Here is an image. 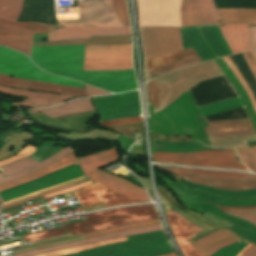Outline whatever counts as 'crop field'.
Returning a JSON list of instances; mask_svg holds the SVG:
<instances>
[{
	"instance_id": "obj_47",
	"label": "crop field",
	"mask_w": 256,
	"mask_h": 256,
	"mask_svg": "<svg viewBox=\"0 0 256 256\" xmlns=\"http://www.w3.org/2000/svg\"><path fill=\"white\" fill-rule=\"evenodd\" d=\"M88 181H91V180H90L89 178H87V179H83V180H80V181H76V182L70 183V184H68V185H65V186H62V187H59V188H56V189H53V190H50V191H47V192H43V193L40 194V195H37V196L31 197V198H28V199H25V200H22V201H19V202H15V203H12V204L3 206V207H1V209H2V208H5V207H8V206H11V205H14V204H17V203H21V202H24V201H27V200H30V199L39 197V196H41V195L45 196V195H48V194L57 192V191H59V190H62V189H65V188H68V187H71V186H75V185H78V184H81V183H84V182H88Z\"/></svg>"
},
{
	"instance_id": "obj_3",
	"label": "crop field",
	"mask_w": 256,
	"mask_h": 256,
	"mask_svg": "<svg viewBox=\"0 0 256 256\" xmlns=\"http://www.w3.org/2000/svg\"><path fill=\"white\" fill-rule=\"evenodd\" d=\"M183 135H187L199 142V129L195 116L199 111L189 92L183 93L175 101ZM174 102L165 110L155 113L148 118L150 133L167 136L182 135Z\"/></svg>"
},
{
	"instance_id": "obj_11",
	"label": "crop field",
	"mask_w": 256,
	"mask_h": 256,
	"mask_svg": "<svg viewBox=\"0 0 256 256\" xmlns=\"http://www.w3.org/2000/svg\"><path fill=\"white\" fill-rule=\"evenodd\" d=\"M140 25L182 26L181 0H137Z\"/></svg>"
},
{
	"instance_id": "obj_25",
	"label": "crop field",
	"mask_w": 256,
	"mask_h": 256,
	"mask_svg": "<svg viewBox=\"0 0 256 256\" xmlns=\"http://www.w3.org/2000/svg\"><path fill=\"white\" fill-rule=\"evenodd\" d=\"M168 222L173 234L185 256H203L198 252L187 239L195 236L185 224L178 220L172 213L167 212Z\"/></svg>"
},
{
	"instance_id": "obj_15",
	"label": "crop field",
	"mask_w": 256,
	"mask_h": 256,
	"mask_svg": "<svg viewBox=\"0 0 256 256\" xmlns=\"http://www.w3.org/2000/svg\"><path fill=\"white\" fill-rule=\"evenodd\" d=\"M84 176L79 164L69 166L57 172L44 176L42 178L21 184L12 189L0 193L4 201L38 191L47 187H51L78 177Z\"/></svg>"
},
{
	"instance_id": "obj_20",
	"label": "crop field",
	"mask_w": 256,
	"mask_h": 256,
	"mask_svg": "<svg viewBox=\"0 0 256 256\" xmlns=\"http://www.w3.org/2000/svg\"><path fill=\"white\" fill-rule=\"evenodd\" d=\"M0 84L4 86L20 88V89L47 91V92H54V93L74 95V96H88L86 90H83V89L7 77L3 75H0Z\"/></svg>"
},
{
	"instance_id": "obj_17",
	"label": "crop field",
	"mask_w": 256,
	"mask_h": 256,
	"mask_svg": "<svg viewBox=\"0 0 256 256\" xmlns=\"http://www.w3.org/2000/svg\"><path fill=\"white\" fill-rule=\"evenodd\" d=\"M244 239L233 234L232 232L222 229L219 231L212 232L205 237L193 242L189 240L195 248H197L205 256L212 255L219 248L238 242ZM237 256H256V245L250 243L244 248Z\"/></svg>"
},
{
	"instance_id": "obj_1",
	"label": "crop field",
	"mask_w": 256,
	"mask_h": 256,
	"mask_svg": "<svg viewBox=\"0 0 256 256\" xmlns=\"http://www.w3.org/2000/svg\"><path fill=\"white\" fill-rule=\"evenodd\" d=\"M84 45L33 47L32 61L57 75L71 77L114 93L137 89L134 71L82 72Z\"/></svg>"
},
{
	"instance_id": "obj_19",
	"label": "crop field",
	"mask_w": 256,
	"mask_h": 256,
	"mask_svg": "<svg viewBox=\"0 0 256 256\" xmlns=\"http://www.w3.org/2000/svg\"><path fill=\"white\" fill-rule=\"evenodd\" d=\"M73 152L74 151H72L70 148L67 147L41 163L31 160L29 158H26V159L17 161L13 164L4 166V167H2V170L4 172L0 173V184H3L5 182L11 181L13 179L19 178L24 175L30 174V173L34 172L35 170H37L55 160L63 158L66 155L71 154ZM3 177H6V178H3Z\"/></svg>"
},
{
	"instance_id": "obj_32",
	"label": "crop field",
	"mask_w": 256,
	"mask_h": 256,
	"mask_svg": "<svg viewBox=\"0 0 256 256\" xmlns=\"http://www.w3.org/2000/svg\"><path fill=\"white\" fill-rule=\"evenodd\" d=\"M210 127H204L207 134L239 131L253 128L250 119L208 122Z\"/></svg>"
},
{
	"instance_id": "obj_58",
	"label": "crop field",
	"mask_w": 256,
	"mask_h": 256,
	"mask_svg": "<svg viewBox=\"0 0 256 256\" xmlns=\"http://www.w3.org/2000/svg\"><path fill=\"white\" fill-rule=\"evenodd\" d=\"M147 90H148L149 102L154 105V97H153V91H152V84H151V82L148 84Z\"/></svg>"
},
{
	"instance_id": "obj_51",
	"label": "crop field",
	"mask_w": 256,
	"mask_h": 256,
	"mask_svg": "<svg viewBox=\"0 0 256 256\" xmlns=\"http://www.w3.org/2000/svg\"><path fill=\"white\" fill-rule=\"evenodd\" d=\"M233 216L243 218L256 224V212H238V213H227Z\"/></svg>"
},
{
	"instance_id": "obj_4",
	"label": "crop field",
	"mask_w": 256,
	"mask_h": 256,
	"mask_svg": "<svg viewBox=\"0 0 256 256\" xmlns=\"http://www.w3.org/2000/svg\"><path fill=\"white\" fill-rule=\"evenodd\" d=\"M128 239L66 256H158L174 252L162 230L129 236Z\"/></svg>"
},
{
	"instance_id": "obj_62",
	"label": "crop field",
	"mask_w": 256,
	"mask_h": 256,
	"mask_svg": "<svg viewBox=\"0 0 256 256\" xmlns=\"http://www.w3.org/2000/svg\"><path fill=\"white\" fill-rule=\"evenodd\" d=\"M1 201V200H0Z\"/></svg>"
},
{
	"instance_id": "obj_21",
	"label": "crop field",
	"mask_w": 256,
	"mask_h": 256,
	"mask_svg": "<svg viewBox=\"0 0 256 256\" xmlns=\"http://www.w3.org/2000/svg\"><path fill=\"white\" fill-rule=\"evenodd\" d=\"M0 93H6L12 96L25 98L22 103H12V104L15 106L28 107V108L56 105L63 101L71 100L74 98V97L53 95V94H47V93H41V92H35V91L5 88L1 86H0ZM26 98L30 100H27Z\"/></svg>"
},
{
	"instance_id": "obj_28",
	"label": "crop field",
	"mask_w": 256,
	"mask_h": 256,
	"mask_svg": "<svg viewBox=\"0 0 256 256\" xmlns=\"http://www.w3.org/2000/svg\"><path fill=\"white\" fill-rule=\"evenodd\" d=\"M73 163H77V158H76L75 154H71V155L65 157L64 159L53 162V163L45 166L44 168L36 171L33 174H30V175H27L25 177H22V178L14 180V181L8 182L6 184L0 185V191L8 189V188L13 187V186H16L18 184L27 182L29 180L35 179L37 177L43 176L45 174L51 173L53 171L59 170L61 168L69 166Z\"/></svg>"
},
{
	"instance_id": "obj_37",
	"label": "crop field",
	"mask_w": 256,
	"mask_h": 256,
	"mask_svg": "<svg viewBox=\"0 0 256 256\" xmlns=\"http://www.w3.org/2000/svg\"><path fill=\"white\" fill-rule=\"evenodd\" d=\"M157 224H160L158 219L145 221V222H139V223H133V224H129V225L121 226V227L110 228V229L97 231V232H93V233H88V234H82L81 236L90 238V237H96V236L111 234V233H115V232L130 230V229H134V228H139V227L157 225Z\"/></svg>"
},
{
	"instance_id": "obj_55",
	"label": "crop field",
	"mask_w": 256,
	"mask_h": 256,
	"mask_svg": "<svg viewBox=\"0 0 256 256\" xmlns=\"http://www.w3.org/2000/svg\"><path fill=\"white\" fill-rule=\"evenodd\" d=\"M86 88H87V91H88V94H89L90 97L111 94V93H107V92L101 91L99 89L93 88V87L88 86V85H86Z\"/></svg>"
},
{
	"instance_id": "obj_8",
	"label": "crop field",
	"mask_w": 256,
	"mask_h": 256,
	"mask_svg": "<svg viewBox=\"0 0 256 256\" xmlns=\"http://www.w3.org/2000/svg\"><path fill=\"white\" fill-rule=\"evenodd\" d=\"M131 57V45H86L84 58H126ZM133 68L131 58L127 59H84L83 70H124Z\"/></svg>"
},
{
	"instance_id": "obj_10",
	"label": "crop field",
	"mask_w": 256,
	"mask_h": 256,
	"mask_svg": "<svg viewBox=\"0 0 256 256\" xmlns=\"http://www.w3.org/2000/svg\"><path fill=\"white\" fill-rule=\"evenodd\" d=\"M153 158L230 165V166H242L239 162L236 161L235 155L231 151H202V152L191 153V154L154 153ZM157 159H153V161L159 162V163H167V164L190 165V166L221 168V169H231V170H247L244 167H230V166L177 162V161H167V160H157Z\"/></svg>"
},
{
	"instance_id": "obj_42",
	"label": "crop field",
	"mask_w": 256,
	"mask_h": 256,
	"mask_svg": "<svg viewBox=\"0 0 256 256\" xmlns=\"http://www.w3.org/2000/svg\"><path fill=\"white\" fill-rule=\"evenodd\" d=\"M66 233H69V232H68V230H66L64 228H52L49 230L24 235V238H25L26 242H29V241L48 238V237H52V236L62 235V234H66Z\"/></svg>"
},
{
	"instance_id": "obj_26",
	"label": "crop field",
	"mask_w": 256,
	"mask_h": 256,
	"mask_svg": "<svg viewBox=\"0 0 256 256\" xmlns=\"http://www.w3.org/2000/svg\"><path fill=\"white\" fill-rule=\"evenodd\" d=\"M93 106L91 104L90 98L85 99H78L74 101H70L56 107L48 108V109H41V110H33L29 111L30 114L42 112L45 113L53 118L70 115V114H77L87 111H92Z\"/></svg>"
},
{
	"instance_id": "obj_59",
	"label": "crop field",
	"mask_w": 256,
	"mask_h": 256,
	"mask_svg": "<svg viewBox=\"0 0 256 256\" xmlns=\"http://www.w3.org/2000/svg\"><path fill=\"white\" fill-rule=\"evenodd\" d=\"M163 256H176L175 253L168 254V255H163Z\"/></svg>"
},
{
	"instance_id": "obj_7",
	"label": "crop field",
	"mask_w": 256,
	"mask_h": 256,
	"mask_svg": "<svg viewBox=\"0 0 256 256\" xmlns=\"http://www.w3.org/2000/svg\"><path fill=\"white\" fill-rule=\"evenodd\" d=\"M0 73L13 77L85 88L82 83L47 74L35 67L23 54L2 47H0Z\"/></svg>"
},
{
	"instance_id": "obj_44",
	"label": "crop field",
	"mask_w": 256,
	"mask_h": 256,
	"mask_svg": "<svg viewBox=\"0 0 256 256\" xmlns=\"http://www.w3.org/2000/svg\"><path fill=\"white\" fill-rule=\"evenodd\" d=\"M248 243L246 242H238L224 248L219 249L212 256H236Z\"/></svg>"
},
{
	"instance_id": "obj_36",
	"label": "crop field",
	"mask_w": 256,
	"mask_h": 256,
	"mask_svg": "<svg viewBox=\"0 0 256 256\" xmlns=\"http://www.w3.org/2000/svg\"><path fill=\"white\" fill-rule=\"evenodd\" d=\"M23 0H0V17L16 22Z\"/></svg>"
},
{
	"instance_id": "obj_48",
	"label": "crop field",
	"mask_w": 256,
	"mask_h": 256,
	"mask_svg": "<svg viewBox=\"0 0 256 256\" xmlns=\"http://www.w3.org/2000/svg\"><path fill=\"white\" fill-rule=\"evenodd\" d=\"M242 54L256 79V50L251 52H245Z\"/></svg>"
},
{
	"instance_id": "obj_27",
	"label": "crop field",
	"mask_w": 256,
	"mask_h": 256,
	"mask_svg": "<svg viewBox=\"0 0 256 256\" xmlns=\"http://www.w3.org/2000/svg\"><path fill=\"white\" fill-rule=\"evenodd\" d=\"M73 44H131V35L92 36V39H72L49 43H34L37 46L73 45Z\"/></svg>"
},
{
	"instance_id": "obj_22",
	"label": "crop field",
	"mask_w": 256,
	"mask_h": 256,
	"mask_svg": "<svg viewBox=\"0 0 256 256\" xmlns=\"http://www.w3.org/2000/svg\"><path fill=\"white\" fill-rule=\"evenodd\" d=\"M220 31L233 54L252 49L247 23L223 26Z\"/></svg>"
},
{
	"instance_id": "obj_46",
	"label": "crop field",
	"mask_w": 256,
	"mask_h": 256,
	"mask_svg": "<svg viewBox=\"0 0 256 256\" xmlns=\"http://www.w3.org/2000/svg\"><path fill=\"white\" fill-rule=\"evenodd\" d=\"M35 149H36V147L28 145L23 151H21L20 153H18L14 157L1 161L0 162V167L4 166L6 164H9V163H11V162H13L17 159H21V158H25V157L30 156L31 154H33L35 152Z\"/></svg>"
},
{
	"instance_id": "obj_23",
	"label": "crop field",
	"mask_w": 256,
	"mask_h": 256,
	"mask_svg": "<svg viewBox=\"0 0 256 256\" xmlns=\"http://www.w3.org/2000/svg\"><path fill=\"white\" fill-rule=\"evenodd\" d=\"M183 48H192L202 61L216 58V54L204 40L198 27L180 28Z\"/></svg>"
},
{
	"instance_id": "obj_61",
	"label": "crop field",
	"mask_w": 256,
	"mask_h": 256,
	"mask_svg": "<svg viewBox=\"0 0 256 256\" xmlns=\"http://www.w3.org/2000/svg\"><path fill=\"white\" fill-rule=\"evenodd\" d=\"M255 148H256V146H255Z\"/></svg>"
},
{
	"instance_id": "obj_50",
	"label": "crop field",
	"mask_w": 256,
	"mask_h": 256,
	"mask_svg": "<svg viewBox=\"0 0 256 256\" xmlns=\"http://www.w3.org/2000/svg\"><path fill=\"white\" fill-rule=\"evenodd\" d=\"M94 171H96V172H98V173H100V174H102V175H104V176H106V177H108V178H111V179H113V180H115V181H117V182H119V183H121V184H123V185H125V186H127V187H130V188H132V189H134V190H137V191L146 193V190H144V189H142V188H140V187H137V186H135V185H133V184H130V183L124 181V180H121V179L115 178V177H113V176H110V175H108V174H106V173H104V172H102V171H100V170H98V169H96V170H94ZM146 194H147V193H146Z\"/></svg>"
},
{
	"instance_id": "obj_16",
	"label": "crop field",
	"mask_w": 256,
	"mask_h": 256,
	"mask_svg": "<svg viewBox=\"0 0 256 256\" xmlns=\"http://www.w3.org/2000/svg\"><path fill=\"white\" fill-rule=\"evenodd\" d=\"M183 26L220 25L213 0H182Z\"/></svg>"
},
{
	"instance_id": "obj_29",
	"label": "crop field",
	"mask_w": 256,
	"mask_h": 256,
	"mask_svg": "<svg viewBox=\"0 0 256 256\" xmlns=\"http://www.w3.org/2000/svg\"><path fill=\"white\" fill-rule=\"evenodd\" d=\"M220 23L248 22L249 25H256V10L246 9H217Z\"/></svg>"
},
{
	"instance_id": "obj_60",
	"label": "crop field",
	"mask_w": 256,
	"mask_h": 256,
	"mask_svg": "<svg viewBox=\"0 0 256 256\" xmlns=\"http://www.w3.org/2000/svg\"><path fill=\"white\" fill-rule=\"evenodd\" d=\"M0 172H2V170L0 169Z\"/></svg>"
},
{
	"instance_id": "obj_52",
	"label": "crop field",
	"mask_w": 256,
	"mask_h": 256,
	"mask_svg": "<svg viewBox=\"0 0 256 256\" xmlns=\"http://www.w3.org/2000/svg\"><path fill=\"white\" fill-rule=\"evenodd\" d=\"M83 178H87V177H86V176H84V177H81V178H78V179H75V180H72V181H69V182H66V183H63V184H60V185H57V186L51 187V188H48V189H45V190H41V191H38V192H35V193H32V194L26 195V196H23V197H19V198H16V199H13V200H10V201H7V202H4V203H3V205H6V204H9V203H12V202H15V201H18V200H21V199H24V198H27V197L33 196V195L40 194V193H41V192H43V191H47V190H50V189H53V188H56V187L62 186V185H64V184H67V183H70V182H73V181H76V180L83 179Z\"/></svg>"
},
{
	"instance_id": "obj_53",
	"label": "crop field",
	"mask_w": 256,
	"mask_h": 256,
	"mask_svg": "<svg viewBox=\"0 0 256 256\" xmlns=\"http://www.w3.org/2000/svg\"><path fill=\"white\" fill-rule=\"evenodd\" d=\"M168 207V206H167ZM168 210L171 211L177 218H179L182 222H184L191 230L192 232L196 235L197 232L202 231L201 228L193 225L183 217H181L179 214H177L175 211H173L171 208L168 207Z\"/></svg>"
},
{
	"instance_id": "obj_57",
	"label": "crop field",
	"mask_w": 256,
	"mask_h": 256,
	"mask_svg": "<svg viewBox=\"0 0 256 256\" xmlns=\"http://www.w3.org/2000/svg\"><path fill=\"white\" fill-rule=\"evenodd\" d=\"M152 84H153V91H154V97H155V107L158 109V93H160V92H159L154 80H152Z\"/></svg>"
},
{
	"instance_id": "obj_41",
	"label": "crop field",
	"mask_w": 256,
	"mask_h": 256,
	"mask_svg": "<svg viewBox=\"0 0 256 256\" xmlns=\"http://www.w3.org/2000/svg\"><path fill=\"white\" fill-rule=\"evenodd\" d=\"M201 62L200 58H193V59H189L186 61H182V62H178V63H174V64H170V65H166V66H162V67H158V68H154V69H150L148 70L150 75H157V74H161V73H165L171 70H175V69H179L182 67H186L195 63Z\"/></svg>"
},
{
	"instance_id": "obj_43",
	"label": "crop field",
	"mask_w": 256,
	"mask_h": 256,
	"mask_svg": "<svg viewBox=\"0 0 256 256\" xmlns=\"http://www.w3.org/2000/svg\"><path fill=\"white\" fill-rule=\"evenodd\" d=\"M224 61L227 63V65L231 68V70L234 72V74L236 75V77L238 78V80L240 81V83L242 84V86L244 87L245 91L247 92L251 102H252V106L256 112V101L255 98L251 92V90L249 89L248 85L246 84L245 80L243 79V77L241 76V74L239 73L238 69L236 68V66L234 65V63L231 61V59L227 56V57H223Z\"/></svg>"
},
{
	"instance_id": "obj_24",
	"label": "crop field",
	"mask_w": 256,
	"mask_h": 256,
	"mask_svg": "<svg viewBox=\"0 0 256 256\" xmlns=\"http://www.w3.org/2000/svg\"><path fill=\"white\" fill-rule=\"evenodd\" d=\"M160 229H162L160 225L139 228V229L115 233V234H111V235L81 240V241H77V242H73V243H69V244H65V245H59V246L48 247V248H43V249H39V250L28 251L26 253H23V254H20L17 256H30V255H34V254L45 253V252H50V251H55V250H60V249H66V248L85 245V244H89V243L99 242V241H103V240H107V239H112V238H116V237L128 236V235L139 234V233L155 231V230H160Z\"/></svg>"
},
{
	"instance_id": "obj_45",
	"label": "crop field",
	"mask_w": 256,
	"mask_h": 256,
	"mask_svg": "<svg viewBox=\"0 0 256 256\" xmlns=\"http://www.w3.org/2000/svg\"><path fill=\"white\" fill-rule=\"evenodd\" d=\"M114 9L123 25H130L125 0H113Z\"/></svg>"
},
{
	"instance_id": "obj_33",
	"label": "crop field",
	"mask_w": 256,
	"mask_h": 256,
	"mask_svg": "<svg viewBox=\"0 0 256 256\" xmlns=\"http://www.w3.org/2000/svg\"><path fill=\"white\" fill-rule=\"evenodd\" d=\"M193 57H197V55L194 53L192 49H188V50H182V51L174 52L171 54H167L157 58L148 59L146 60V70L150 68L186 60Z\"/></svg>"
},
{
	"instance_id": "obj_13",
	"label": "crop field",
	"mask_w": 256,
	"mask_h": 256,
	"mask_svg": "<svg viewBox=\"0 0 256 256\" xmlns=\"http://www.w3.org/2000/svg\"><path fill=\"white\" fill-rule=\"evenodd\" d=\"M118 158H119V155L117 151L115 150V148H112L102 154L96 153V154L87 156L79 160V164L81 165L83 172L92 180L116 191L119 194L126 195V196H129L138 200H142L145 202H149L150 200L148 195L134 191L125 186H122L92 171L96 168L111 164L117 161Z\"/></svg>"
},
{
	"instance_id": "obj_5",
	"label": "crop field",
	"mask_w": 256,
	"mask_h": 256,
	"mask_svg": "<svg viewBox=\"0 0 256 256\" xmlns=\"http://www.w3.org/2000/svg\"><path fill=\"white\" fill-rule=\"evenodd\" d=\"M85 218L87 221L61 227L76 235L158 217L153 205H141L87 214Z\"/></svg>"
},
{
	"instance_id": "obj_6",
	"label": "crop field",
	"mask_w": 256,
	"mask_h": 256,
	"mask_svg": "<svg viewBox=\"0 0 256 256\" xmlns=\"http://www.w3.org/2000/svg\"><path fill=\"white\" fill-rule=\"evenodd\" d=\"M92 99L100 116V120L137 115L141 113L138 91L114 96L96 97ZM140 122H143V120L140 117V115H137L102 120L99 121V124L106 127H110Z\"/></svg>"
},
{
	"instance_id": "obj_14",
	"label": "crop field",
	"mask_w": 256,
	"mask_h": 256,
	"mask_svg": "<svg viewBox=\"0 0 256 256\" xmlns=\"http://www.w3.org/2000/svg\"><path fill=\"white\" fill-rule=\"evenodd\" d=\"M143 45L180 39L179 28L141 27ZM146 59L182 50L181 40L143 46Z\"/></svg>"
},
{
	"instance_id": "obj_40",
	"label": "crop field",
	"mask_w": 256,
	"mask_h": 256,
	"mask_svg": "<svg viewBox=\"0 0 256 256\" xmlns=\"http://www.w3.org/2000/svg\"><path fill=\"white\" fill-rule=\"evenodd\" d=\"M242 163L256 173V150L253 146L236 149Z\"/></svg>"
},
{
	"instance_id": "obj_9",
	"label": "crop field",
	"mask_w": 256,
	"mask_h": 256,
	"mask_svg": "<svg viewBox=\"0 0 256 256\" xmlns=\"http://www.w3.org/2000/svg\"><path fill=\"white\" fill-rule=\"evenodd\" d=\"M34 33L53 35L52 26L38 23H14L0 18V44L29 55Z\"/></svg>"
},
{
	"instance_id": "obj_12",
	"label": "crop field",
	"mask_w": 256,
	"mask_h": 256,
	"mask_svg": "<svg viewBox=\"0 0 256 256\" xmlns=\"http://www.w3.org/2000/svg\"><path fill=\"white\" fill-rule=\"evenodd\" d=\"M72 191L76 199L82 204L83 209L94 204L104 201L106 207L143 203L126 196L117 194L116 192L101 186L93 181L81 184L72 188H68L57 193L43 197L44 199L51 198L66 192ZM80 191H82L80 193Z\"/></svg>"
},
{
	"instance_id": "obj_39",
	"label": "crop field",
	"mask_w": 256,
	"mask_h": 256,
	"mask_svg": "<svg viewBox=\"0 0 256 256\" xmlns=\"http://www.w3.org/2000/svg\"><path fill=\"white\" fill-rule=\"evenodd\" d=\"M183 171H188L197 174H204L210 176H219V177H229V178H256V176L243 174V173H236V172H226V171H214V170H201V169H180V168H173Z\"/></svg>"
},
{
	"instance_id": "obj_49",
	"label": "crop field",
	"mask_w": 256,
	"mask_h": 256,
	"mask_svg": "<svg viewBox=\"0 0 256 256\" xmlns=\"http://www.w3.org/2000/svg\"><path fill=\"white\" fill-rule=\"evenodd\" d=\"M251 134H256V133L254 130H248V131H240V132H232V133L213 134L208 136L210 138H227V137H236V136L251 135Z\"/></svg>"
},
{
	"instance_id": "obj_35",
	"label": "crop field",
	"mask_w": 256,
	"mask_h": 256,
	"mask_svg": "<svg viewBox=\"0 0 256 256\" xmlns=\"http://www.w3.org/2000/svg\"><path fill=\"white\" fill-rule=\"evenodd\" d=\"M245 108L241 99L230 101V102H225L213 106H208L204 108H200L199 111L201 113V116L203 118L222 114V113H227L239 109Z\"/></svg>"
},
{
	"instance_id": "obj_38",
	"label": "crop field",
	"mask_w": 256,
	"mask_h": 256,
	"mask_svg": "<svg viewBox=\"0 0 256 256\" xmlns=\"http://www.w3.org/2000/svg\"><path fill=\"white\" fill-rule=\"evenodd\" d=\"M127 239L125 237L123 238H116L108 241H103L99 243H94L90 245H85V246H80L76 248H71V249H66V250H61V251H55V252H50V253H45V254H40L36 256H59V255H66V254H72V253H77L78 251L89 249V248H94L102 245H107L115 242H120V241H126Z\"/></svg>"
},
{
	"instance_id": "obj_31",
	"label": "crop field",
	"mask_w": 256,
	"mask_h": 256,
	"mask_svg": "<svg viewBox=\"0 0 256 256\" xmlns=\"http://www.w3.org/2000/svg\"><path fill=\"white\" fill-rule=\"evenodd\" d=\"M199 29L218 57L231 54L227 44L221 36L219 27H199Z\"/></svg>"
},
{
	"instance_id": "obj_54",
	"label": "crop field",
	"mask_w": 256,
	"mask_h": 256,
	"mask_svg": "<svg viewBox=\"0 0 256 256\" xmlns=\"http://www.w3.org/2000/svg\"><path fill=\"white\" fill-rule=\"evenodd\" d=\"M222 212H230V211H255L256 206L250 207H219Z\"/></svg>"
},
{
	"instance_id": "obj_18",
	"label": "crop field",
	"mask_w": 256,
	"mask_h": 256,
	"mask_svg": "<svg viewBox=\"0 0 256 256\" xmlns=\"http://www.w3.org/2000/svg\"><path fill=\"white\" fill-rule=\"evenodd\" d=\"M154 166L167 170L187 180L204 184L207 186L215 187V188L226 189V190H245V189L256 188V179H228V178L210 177V176L185 173V172L161 167L158 165H154Z\"/></svg>"
},
{
	"instance_id": "obj_30",
	"label": "crop field",
	"mask_w": 256,
	"mask_h": 256,
	"mask_svg": "<svg viewBox=\"0 0 256 256\" xmlns=\"http://www.w3.org/2000/svg\"><path fill=\"white\" fill-rule=\"evenodd\" d=\"M216 63L219 65V67L222 69V71L224 72V74L226 75V77L228 78V80L231 82V84L233 85V87L235 88V90L238 92V94L240 95L247 111L248 114L250 116V119L255 127V131H256V114L250 104L249 98L246 94V92L244 91V89L242 88L241 84L239 83V81L237 80V78L235 77V75L232 73V71L230 70V68L225 64V62L219 58V59H215Z\"/></svg>"
},
{
	"instance_id": "obj_34",
	"label": "crop field",
	"mask_w": 256,
	"mask_h": 256,
	"mask_svg": "<svg viewBox=\"0 0 256 256\" xmlns=\"http://www.w3.org/2000/svg\"><path fill=\"white\" fill-rule=\"evenodd\" d=\"M180 184L192 189L196 190V188L202 190V191H207L211 192L217 195H222V196H230V197H238V198H245V197H250V196H255L256 195V189L253 190H246V191H224V190H219V189H214V188H209V187H204L200 186L197 184L190 183L184 179H181L179 177L175 178Z\"/></svg>"
},
{
	"instance_id": "obj_2",
	"label": "crop field",
	"mask_w": 256,
	"mask_h": 256,
	"mask_svg": "<svg viewBox=\"0 0 256 256\" xmlns=\"http://www.w3.org/2000/svg\"><path fill=\"white\" fill-rule=\"evenodd\" d=\"M80 17L57 18L54 36L48 41L91 38V35L131 34L116 16L112 0H78Z\"/></svg>"
},
{
	"instance_id": "obj_56",
	"label": "crop field",
	"mask_w": 256,
	"mask_h": 256,
	"mask_svg": "<svg viewBox=\"0 0 256 256\" xmlns=\"http://www.w3.org/2000/svg\"><path fill=\"white\" fill-rule=\"evenodd\" d=\"M253 49L256 48V27H249Z\"/></svg>"
}]
</instances>
